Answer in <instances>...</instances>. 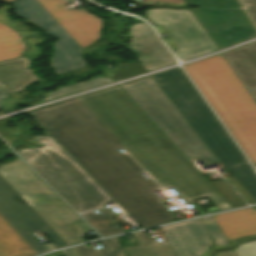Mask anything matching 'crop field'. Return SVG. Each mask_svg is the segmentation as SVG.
Here are the masks:
<instances>
[{"instance_id": "crop-field-30", "label": "crop field", "mask_w": 256, "mask_h": 256, "mask_svg": "<svg viewBox=\"0 0 256 256\" xmlns=\"http://www.w3.org/2000/svg\"><path fill=\"white\" fill-rule=\"evenodd\" d=\"M208 198L212 200L220 210L233 208L221 194L208 196Z\"/></svg>"}, {"instance_id": "crop-field-19", "label": "crop field", "mask_w": 256, "mask_h": 256, "mask_svg": "<svg viewBox=\"0 0 256 256\" xmlns=\"http://www.w3.org/2000/svg\"><path fill=\"white\" fill-rule=\"evenodd\" d=\"M133 236L140 246L124 248L127 256H175L168 241L157 243L155 239H147L143 231Z\"/></svg>"}, {"instance_id": "crop-field-28", "label": "crop field", "mask_w": 256, "mask_h": 256, "mask_svg": "<svg viewBox=\"0 0 256 256\" xmlns=\"http://www.w3.org/2000/svg\"><path fill=\"white\" fill-rule=\"evenodd\" d=\"M233 250L237 256H256V241L245 243Z\"/></svg>"}, {"instance_id": "crop-field-12", "label": "crop field", "mask_w": 256, "mask_h": 256, "mask_svg": "<svg viewBox=\"0 0 256 256\" xmlns=\"http://www.w3.org/2000/svg\"><path fill=\"white\" fill-rule=\"evenodd\" d=\"M130 49L147 71L176 63L147 24L130 28Z\"/></svg>"}, {"instance_id": "crop-field-2", "label": "crop field", "mask_w": 256, "mask_h": 256, "mask_svg": "<svg viewBox=\"0 0 256 256\" xmlns=\"http://www.w3.org/2000/svg\"><path fill=\"white\" fill-rule=\"evenodd\" d=\"M200 140L256 202V174L181 68L152 76Z\"/></svg>"}, {"instance_id": "crop-field-26", "label": "crop field", "mask_w": 256, "mask_h": 256, "mask_svg": "<svg viewBox=\"0 0 256 256\" xmlns=\"http://www.w3.org/2000/svg\"><path fill=\"white\" fill-rule=\"evenodd\" d=\"M146 72L141 64H122L115 68V76H110L114 81Z\"/></svg>"}, {"instance_id": "crop-field-24", "label": "crop field", "mask_w": 256, "mask_h": 256, "mask_svg": "<svg viewBox=\"0 0 256 256\" xmlns=\"http://www.w3.org/2000/svg\"><path fill=\"white\" fill-rule=\"evenodd\" d=\"M187 4L208 7L214 10H236L241 6L237 0H183Z\"/></svg>"}, {"instance_id": "crop-field-7", "label": "crop field", "mask_w": 256, "mask_h": 256, "mask_svg": "<svg viewBox=\"0 0 256 256\" xmlns=\"http://www.w3.org/2000/svg\"><path fill=\"white\" fill-rule=\"evenodd\" d=\"M145 13L153 25L162 24L172 36L180 49L173 52L179 61L217 50L190 9H153Z\"/></svg>"}, {"instance_id": "crop-field-16", "label": "crop field", "mask_w": 256, "mask_h": 256, "mask_svg": "<svg viewBox=\"0 0 256 256\" xmlns=\"http://www.w3.org/2000/svg\"><path fill=\"white\" fill-rule=\"evenodd\" d=\"M23 57L0 62V86L7 92H19L37 79Z\"/></svg>"}, {"instance_id": "crop-field-25", "label": "crop field", "mask_w": 256, "mask_h": 256, "mask_svg": "<svg viewBox=\"0 0 256 256\" xmlns=\"http://www.w3.org/2000/svg\"><path fill=\"white\" fill-rule=\"evenodd\" d=\"M211 183L234 208L246 205L223 179L212 181Z\"/></svg>"}, {"instance_id": "crop-field-15", "label": "crop field", "mask_w": 256, "mask_h": 256, "mask_svg": "<svg viewBox=\"0 0 256 256\" xmlns=\"http://www.w3.org/2000/svg\"><path fill=\"white\" fill-rule=\"evenodd\" d=\"M226 239L256 234V211L251 207L214 216Z\"/></svg>"}, {"instance_id": "crop-field-27", "label": "crop field", "mask_w": 256, "mask_h": 256, "mask_svg": "<svg viewBox=\"0 0 256 256\" xmlns=\"http://www.w3.org/2000/svg\"><path fill=\"white\" fill-rule=\"evenodd\" d=\"M204 227L206 228L209 235L212 236L216 245L217 244H227L221 229L219 228L218 224L214 220L213 216L202 218L201 219Z\"/></svg>"}, {"instance_id": "crop-field-10", "label": "crop field", "mask_w": 256, "mask_h": 256, "mask_svg": "<svg viewBox=\"0 0 256 256\" xmlns=\"http://www.w3.org/2000/svg\"><path fill=\"white\" fill-rule=\"evenodd\" d=\"M191 11L217 48L256 36V28L254 29L243 10L213 12L196 8Z\"/></svg>"}, {"instance_id": "crop-field-18", "label": "crop field", "mask_w": 256, "mask_h": 256, "mask_svg": "<svg viewBox=\"0 0 256 256\" xmlns=\"http://www.w3.org/2000/svg\"><path fill=\"white\" fill-rule=\"evenodd\" d=\"M33 249L0 215V256H35Z\"/></svg>"}, {"instance_id": "crop-field-22", "label": "crop field", "mask_w": 256, "mask_h": 256, "mask_svg": "<svg viewBox=\"0 0 256 256\" xmlns=\"http://www.w3.org/2000/svg\"><path fill=\"white\" fill-rule=\"evenodd\" d=\"M104 249L98 250L100 256H125L123 248L119 245L116 238H110L101 241ZM80 256H97L94 250H88L86 245L76 247Z\"/></svg>"}, {"instance_id": "crop-field-31", "label": "crop field", "mask_w": 256, "mask_h": 256, "mask_svg": "<svg viewBox=\"0 0 256 256\" xmlns=\"http://www.w3.org/2000/svg\"><path fill=\"white\" fill-rule=\"evenodd\" d=\"M256 24V0H240Z\"/></svg>"}, {"instance_id": "crop-field-39", "label": "crop field", "mask_w": 256, "mask_h": 256, "mask_svg": "<svg viewBox=\"0 0 256 256\" xmlns=\"http://www.w3.org/2000/svg\"><path fill=\"white\" fill-rule=\"evenodd\" d=\"M0 1L10 2V1H13V0H0Z\"/></svg>"}, {"instance_id": "crop-field-37", "label": "crop field", "mask_w": 256, "mask_h": 256, "mask_svg": "<svg viewBox=\"0 0 256 256\" xmlns=\"http://www.w3.org/2000/svg\"><path fill=\"white\" fill-rule=\"evenodd\" d=\"M8 96L9 95L0 87V105H1V100Z\"/></svg>"}, {"instance_id": "crop-field-14", "label": "crop field", "mask_w": 256, "mask_h": 256, "mask_svg": "<svg viewBox=\"0 0 256 256\" xmlns=\"http://www.w3.org/2000/svg\"><path fill=\"white\" fill-rule=\"evenodd\" d=\"M252 96H256V43L223 53Z\"/></svg>"}, {"instance_id": "crop-field-34", "label": "crop field", "mask_w": 256, "mask_h": 256, "mask_svg": "<svg viewBox=\"0 0 256 256\" xmlns=\"http://www.w3.org/2000/svg\"><path fill=\"white\" fill-rule=\"evenodd\" d=\"M217 256H236V255L234 254V252L232 250V251L220 252L217 254Z\"/></svg>"}, {"instance_id": "crop-field-13", "label": "crop field", "mask_w": 256, "mask_h": 256, "mask_svg": "<svg viewBox=\"0 0 256 256\" xmlns=\"http://www.w3.org/2000/svg\"><path fill=\"white\" fill-rule=\"evenodd\" d=\"M176 256H199L211 243L200 219L161 228Z\"/></svg>"}, {"instance_id": "crop-field-36", "label": "crop field", "mask_w": 256, "mask_h": 256, "mask_svg": "<svg viewBox=\"0 0 256 256\" xmlns=\"http://www.w3.org/2000/svg\"><path fill=\"white\" fill-rule=\"evenodd\" d=\"M66 252H67L68 256H78L75 248L67 249Z\"/></svg>"}, {"instance_id": "crop-field-1", "label": "crop field", "mask_w": 256, "mask_h": 256, "mask_svg": "<svg viewBox=\"0 0 256 256\" xmlns=\"http://www.w3.org/2000/svg\"><path fill=\"white\" fill-rule=\"evenodd\" d=\"M29 114L142 228L175 217L152 192L143 170L186 201L219 192L119 87Z\"/></svg>"}, {"instance_id": "crop-field-3", "label": "crop field", "mask_w": 256, "mask_h": 256, "mask_svg": "<svg viewBox=\"0 0 256 256\" xmlns=\"http://www.w3.org/2000/svg\"><path fill=\"white\" fill-rule=\"evenodd\" d=\"M184 68L252 164H256V102L222 54Z\"/></svg>"}, {"instance_id": "crop-field-33", "label": "crop field", "mask_w": 256, "mask_h": 256, "mask_svg": "<svg viewBox=\"0 0 256 256\" xmlns=\"http://www.w3.org/2000/svg\"><path fill=\"white\" fill-rule=\"evenodd\" d=\"M144 1H149V0H144ZM160 2H167V3H171V4H180L183 3L182 0H158Z\"/></svg>"}, {"instance_id": "crop-field-5", "label": "crop field", "mask_w": 256, "mask_h": 256, "mask_svg": "<svg viewBox=\"0 0 256 256\" xmlns=\"http://www.w3.org/2000/svg\"><path fill=\"white\" fill-rule=\"evenodd\" d=\"M0 174L69 245L92 231L22 160L0 165Z\"/></svg>"}, {"instance_id": "crop-field-32", "label": "crop field", "mask_w": 256, "mask_h": 256, "mask_svg": "<svg viewBox=\"0 0 256 256\" xmlns=\"http://www.w3.org/2000/svg\"><path fill=\"white\" fill-rule=\"evenodd\" d=\"M4 124H5L4 120L0 121V136H2L3 138H6L10 131V128L5 126Z\"/></svg>"}, {"instance_id": "crop-field-17", "label": "crop field", "mask_w": 256, "mask_h": 256, "mask_svg": "<svg viewBox=\"0 0 256 256\" xmlns=\"http://www.w3.org/2000/svg\"><path fill=\"white\" fill-rule=\"evenodd\" d=\"M9 8H11L9 5L0 8V22L14 29L22 39L26 48L21 52V56L29 58L30 60H36L42 49L37 48L33 45L40 44L44 42L47 38L41 36V33L34 29H31L20 23H14L9 20L6 12V9Z\"/></svg>"}, {"instance_id": "crop-field-20", "label": "crop field", "mask_w": 256, "mask_h": 256, "mask_svg": "<svg viewBox=\"0 0 256 256\" xmlns=\"http://www.w3.org/2000/svg\"><path fill=\"white\" fill-rule=\"evenodd\" d=\"M98 211L100 214L91 211L82 213L81 215L102 237L125 231L124 228L111 217L113 215L108 208L99 209Z\"/></svg>"}, {"instance_id": "crop-field-35", "label": "crop field", "mask_w": 256, "mask_h": 256, "mask_svg": "<svg viewBox=\"0 0 256 256\" xmlns=\"http://www.w3.org/2000/svg\"><path fill=\"white\" fill-rule=\"evenodd\" d=\"M201 215L206 214L194 201L190 202Z\"/></svg>"}, {"instance_id": "crop-field-8", "label": "crop field", "mask_w": 256, "mask_h": 256, "mask_svg": "<svg viewBox=\"0 0 256 256\" xmlns=\"http://www.w3.org/2000/svg\"><path fill=\"white\" fill-rule=\"evenodd\" d=\"M0 214L39 254L45 247L30 233L39 229L57 248L68 245L0 175Z\"/></svg>"}, {"instance_id": "crop-field-21", "label": "crop field", "mask_w": 256, "mask_h": 256, "mask_svg": "<svg viewBox=\"0 0 256 256\" xmlns=\"http://www.w3.org/2000/svg\"><path fill=\"white\" fill-rule=\"evenodd\" d=\"M23 48L16 32L0 24V61L20 56Z\"/></svg>"}, {"instance_id": "crop-field-9", "label": "crop field", "mask_w": 256, "mask_h": 256, "mask_svg": "<svg viewBox=\"0 0 256 256\" xmlns=\"http://www.w3.org/2000/svg\"><path fill=\"white\" fill-rule=\"evenodd\" d=\"M12 5L19 17L29 19L44 29L46 34L57 38L56 43H54L53 58L50 62L57 74L81 68L85 65L80 57L82 47L71 38L37 0H18Z\"/></svg>"}, {"instance_id": "crop-field-29", "label": "crop field", "mask_w": 256, "mask_h": 256, "mask_svg": "<svg viewBox=\"0 0 256 256\" xmlns=\"http://www.w3.org/2000/svg\"><path fill=\"white\" fill-rule=\"evenodd\" d=\"M237 191L238 193L249 203L255 204L253 199L246 193V191L239 185V183L233 178L226 179Z\"/></svg>"}, {"instance_id": "crop-field-11", "label": "crop field", "mask_w": 256, "mask_h": 256, "mask_svg": "<svg viewBox=\"0 0 256 256\" xmlns=\"http://www.w3.org/2000/svg\"><path fill=\"white\" fill-rule=\"evenodd\" d=\"M38 1L83 48L99 38L100 18L89 15L83 9L66 10L63 6L69 2L64 0Z\"/></svg>"}, {"instance_id": "crop-field-6", "label": "crop field", "mask_w": 256, "mask_h": 256, "mask_svg": "<svg viewBox=\"0 0 256 256\" xmlns=\"http://www.w3.org/2000/svg\"><path fill=\"white\" fill-rule=\"evenodd\" d=\"M120 87L187 157H215L199 140L151 76Z\"/></svg>"}, {"instance_id": "crop-field-4", "label": "crop field", "mask_w": 256, "mask_h": 256, "mask_svg": "<svg viewBox=\"0 0 256 256\" xmlns=\"http://www.w3.org/2000/svg\"><path fill=\"white\" fill-rule=\"evenodd\" d=\"M32 141L53 144L43 149H23L18 154L44 177L77 212L103 207L112 198L51 137L37 135Z\"/></svg>"}, {"instance_id": "crop-field-23", "label": "crop field", "mask_w": 256, "mask_h": 256, "mask_svg": "<svg viewBox=\"0 0 256 256\" xmlns=\"http://www.w3.org/2000/svg\"><path fill=\"white\" fill-rule=\"evenodd\" d=\"M110 82H113L110 78L97 77L83 83H78L74 86L60 88L52 93H49L45 99L41 100V102Z\"/></svg>"}, {"instance_id": "crop-field-41", "label": "crop field", "mask_w": 256, "mask_h": 256, "mask_svg": "<svg viewBox=\"0 0 256 256\" xmlns=\"http://www.w3.org/2000/svg\"><path fill=\"white\" fill-rule=\"evenodd\" d=\"M204 8V7H203ZM205 9H208V8H205ZM209 10H211V9H209ZM214 11V10H213Z\"/></svg>"}, {"instance_id": "crop-field-40", "label": "crop field", "mask_w": 256, "mask_h": 256, "mask_svg": "<svg viewBox=\"0 0 256 256\" xmlns=\"http://www.w3.org/2000/svg\"><path fill=\"white\" fill-rule=\"evenodd\" d=\"M253 208V210H256V206H254V207H252Z\"/></svg>"}, {"instance_id": "crop-field-38", "label": "crop field", "mask_w": 256, "mask_h": 256, "mask_svg": "<svg viewBox=\"0 0 256 256\" xmlns=\"http://www.w3.org/2000/svg\"><path fill=\"white\" fill-rule=\"evenodd\" d=\"M5 154H7V152H6V151H4V150H0V158H1L2 156H4Z\"/></svg>"}]
</instances>
